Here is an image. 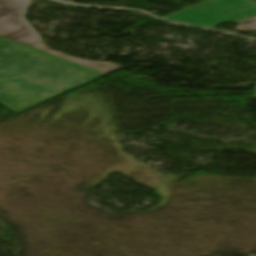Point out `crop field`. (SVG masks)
<instances>
[{
  "label": "crop field",
  "mask_w": 256,
  "mask_h": 256,
  "mask_svg": "<svg viewBox=\"0 0 256 256\" xmlns=\"http://www.w3.org/2000/svg\"><path fill=\"white\" fill-rule=\"evenodd\" d=\"M0 46V103L18 114L105 74L26 45Z\"/></svg>",
  "instance_id": "obj_1"
},
{
  "label": "crop field",
  "mask_w": 256,
  "mask_h": 256,
  "mask_svg": "<svg viewBox=\"0 0 256 256\" xmlns=\"http://www.w3.org/2000/svg\"><path fill=\"white\" fill-rule=\"evenodd\" d=\"M163 19L209 28L231 22L239 25L237 31L256 32V4L249 0H208Z\"/></svg>",
  "instance_id": "obj_2"
},
{
  "label": "crop field",
  "mask_w": 256,
  "mask_h": 256,
  "mask_svg": "<svg viewBox=\"0 0 256 256\" xmlns=\"http://www.w3.org/2000/svg\"><path fill=\"white\" fill-rule=\"evenodd\" d=\"M29 0H0V35L77 62L79 64L109 73L121 68L116 64L81 61L54 53L41 45L40 39L33 28L25 21L24 14L28 8Z\"/></svg>",
  "instance_id": "obj_3"
},
{
  "label": "crop field",
  "mask_w": 256,
  "mask_h": 256,
  "mask_svg": "<svg viewBox=\"0 0 256 256\" xmlns=\"http://www.w3.org/2000/svg\"><path fill=\"white\" fill-rule=\"evenodd\" d=\"M4 43H6V42L0 41V45H2V44H4ZM6 44H7V43H6Z\"/></svg>",
  "instance_id": "obj_4"
},
{
  "label": "crop field",
  "mask_w": 256,
  "mask_h": 256,
  "mask_svg": "<svg viewBox=\"0 0 256 256\" xmlns=\"http://www.w3.org/2000/svg\"><path fill=\"white\" fill-rule=\"evenodd\" d=\"M255 92H256V86H255Z\"/></svg>",
  "instance_id": "obj_5"
},
{
  "label": "crop field",
  "mask_w": 256,
  "mask_h": 256,
  "mask_svg": "<svg viewBox=\"0 0 256 256\" xmlns=\"http://www.w3.org/2000/svg\"><path fill=\"white\" fill-rule=\"evenodd\" d=\"M255 97H256V94H255Z\"/></svg>",
  "instance_id": "obj_6"
}]
</instances>
